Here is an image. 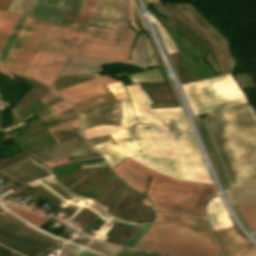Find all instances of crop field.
<instances>
[{
  "label": "crop field",
  "instance_id": "obj_1",
  "mask_svg": "<svg viewBox=\"0 0 256 256\" xmlns=\"http://www.w3.org/2000/svg\"><path fill=\"white\" fill-rule=\"evenodd\" d=\"M116 100L122 104L120 126L100 125L84 129L86 139L110 134L113 140L95 145L96 150L113 167L129 156L142 165L180 180L211 182L191 129L181 108L150 110L151 101L139 84L126 86L134 112L121 80L107 85ZM128 108V120L125 124Z\"/></svg>",
  "mask_w": 256,
  "mask_h": 256
},
{
  "label": "crop field",
  "instance_id": "obj_2",
  "mask_svg": "<svg viewBox=\"0 0 256 256\" xmlns=\"http://www.w3.org/2000/svg\"><path fill=\"white\" fill-rule=\"evenodd\" d=\"M136 32L129 27L71 28L51 24L23 75L49 86L72 54L129 60Z\"/></svg>",
  "mask_w": 256,
  "mask_h": 256
},
{
  "label": "crop field",
  "instance_id": "obj_3",
  "mask_svg": "<svg viewBox=\"0 0 256 256\" xmlns=\"http://www.w3.org/2000/svg\"><path fill=\"white\" fill-rule=\"evenodd\" d=\"M205 123L231 187L256 181V117L248 105L212 112Z\"/></svg>",
  "mask_w": 256,
  "mask_h": 256
},
{
  "label": "crop field",
  "instance_id": "obj_4",
  "mask_svg": "<svg viewBox=\"0 0 256 256\" xmlns=\"http://www.w3.org/2000/svg\"><path fill=\"white\" fill-rule=\"evenodd\" d=\"M134 247L174 256H215L219 250L205 218L164 214Z\"/></svg>",
  "mask_w": 256,
  "mask_h": 256
},
{
  "label": "crop field",
  "instance_id": "obj_5",
  "mask_svg": "<svg viewBox=\"0 0 256 256\" xmlns=\"http://www.w3.org/2000/svg\"><path fill=\"white\" fill-rule=\"evenodd\" d=\"M124 161L152 177L148 196L158 212L205 216L203 204L216 193L213 184L176 180L149 170L129 158Z\"/></svg>",
  "mask_w": 256,
  "mask_h": 256
},
{
  "label": "crop field",
  "instance_id": "obj_6",
  "mask_svg": "<svg viewBox=\"0 0 256 256\" xmlns=\"http://www.w3.org/2000/svg\"><path fill=\"white\" fill-rule=\"evenodd\" d=\"M192 113L199 114L245 103V97L229 73L181 86Z\"/></svg>",
  "mask_w": 256,
  "mask_h": 256
},
{
  "label": "crop field",
  "instance_id": "obj_7",
  "mask_svg": "<svg viewBox=\"0 0 256 256\" xmlns=\"http://www.w3.org/2000/svg\"><path fill=\"white\" fill-rule=\"evenodd\" d=\"M51 238L7 212L0 216V244L25 256H33L56 241Z\"/></svg>",
  "mask_w": 256,
  "mask_h": 256
},
{
  "label": "crop field",
  "instance_id": "obj_8",
  "mask_svg": "<svg viewBox=\"0 0 256 256\" xmlns=\"http://www.w3.org/2000/svg\"><path fill=\"white\" fill-rule=\"evenodd\" d=\"M128 63L138 67L147 68V55L142 34H139L137 42L133 48L130 61H117L109 59L89 58L72 55L60 76L80 73H92L102 71L101 64Z\"/></svg>",
  "mask_w": 256,
  "mask_h": 256
},
{
  "label": "crop field",
  "instance_id": "obj_9",
  "mask_svg": "<svg viewBox=\"0 0 256 256\" xmlns=\"http://www.w3.org/2000/svg\"><path fill=\"white\" fill-rule=\"evenodd\" d=\"M114 81L116 80L110 78L109 75L100 76L66 88L58 92V94L68 100L71 104H73L80 100L89 99L100 94L107 93L104 85L112 83Z\"/></svg>",
  "mask_w": 256,
  "mask_h": 256
},
{
  "label": "crop field",
  "instance_id": "obj_10",
  "mask_svg": "<svg viewBox=\"0 0 256 256\" xmlns=\"http://www.w3.org/2000/svg\"><path fill=\"white\" fill-rule=\"evenodd\" d=\"M215 233L223 245L220 256H256V248L253 245L250 247L234 226L216 230Z\"/></svg>",
  "mask_w": 256,
  "mask_h": 256
},
{
  "label": "crop field",
  "instance_id": "obj_11",
  "mask_svg": "<svg viewBox=\"0 0 256 256\" xmlns=\"http://www.w3.org/2000/svg\"><path fill=\"white\" fill-rule=\"evenodd\" d=\"M0 171L23 183L51 175V172L46 167L37 164L30 157Z\"/></svg>",
  "mask_w": 256,
  "mask_h": 256
},
{
  "label": "crop field",
  "instance_id": "obj_12",
  "mask_svg": "<svg viewBox=\"0 0 256 256\" xmlns=\"http://www.w3.org/2000/svg\"><path fill=\"white\" fill-rule=\"evenodd\" d=\"M119 114L120 103L119 101H115L91 111L82 112L79 116L82 120V127L84 129L100 124L118 125Z\"/></svg>",
  "mask_w": 256,
  "mask_h": 256
},
{
  "label": "crop field",
  "instance_id": "obj_13",
  "mask_svg": "<svg viewBox=\"0 0 256 256\" xmlns=\"http://www.w3.org/2000/svg\"><path fill=\"white\" fill-rule=\"evenodd\" d=\"M51 23L39 21L38 25L34 29L32 35L26 42L25 46L21 50L19 56L17 57L15 63L10 68L11 71L17 72L22 74L23 70L25 69L27 63L29 62L30 58L32 57L34 51L36 50L37 46L39 45L40 41L42 40L43 36L45 35L46 31L48 30Z\"/></svg>",
  "mask_w": 256,
  "mask_h": 256
},
{
  "label": "crop field",
  "instance_id": "obj_14",
  "mask_svg": "<svg viewBox=\"0 0 256 256\" xmlns=\"http://www.w3.org/2000/svg\"><path fill=\"white\" fill-rule=\"evenodd\" d=\"M68 2L69 0H37L31 12L23 10L22 13L57 24Z\"/></svg>",
  "mask_w": 256,
  "mask_h": 256
},
{
  "label": "crop field",
  "instance_id": "obj_15",
  "mask_svg": "<svg viewBox=\"0 0 256 256\" xmlns=\"http://www.w3.org/2000/svg\"><path fill=\"white\" fill-rule=\"evenodd\" d=\"M39 20L33 19L27 16L16 40L14 41L13 45L11 46L4 62L3 66H5L8 70L12 66L13 62L15 61L17 55L19 54L20 50L22 49L24 43L29 38L30 34L32 33L33 29L37 25Z\"/></svg>",
  "mask_w": 256,
  "mask_h": 256
},
{
  "label": "crop field",
  "instance_id": "obj_16",
  "mask_svg": "<svg viewBox=\"0 0 256 256\" xmlns=\"http://www.w3.org/2000/svg\"><path fill=\"white\" fill-rule=\"evenodd\" d=\"M113 171L124 179L129 185L145 193L149 176L138 171L124 161L118 166L114 167Z\"/></svg>",
  "mask_w": 256,
  "mask_h": 256
},
{
  "label": "crop field",
  "instance_id": "obj_17",
  "mask_svg": "<svg viewBox=\"0 0 256 256\" xmlns=\"http://www.w3.org/2000/svg\"><path fill=\"white\" fill-rule=\"evenodd\" d=\"M88 147H91V145L86 141L85 138H83L59 144L58 146L41 151L33 156H35L40 161L44 162Z\"/></svg>",
  "mask_w": 256,
  "mask_h": 256
},
{
  "label": "crop field",
  "instance_id": "obj_18",
  "mask_svg": "<svg viewBox=\"0 0 256 256\" xmlns=\"http://www.w3.org/2000/svg\"><path fill=\"white\" fill-rule=\"evenodd\" d=\"M206 210L213 230L233 225L218 196L208 201Z\"/></svg>",
  "mask_w": 256,
  "mask_h": 256
},
{
  "label": "crop field",
  "instance_id": "obj_19",
  "mask_svg": "<svg viewBox=\"0 0 256 256\" xmlns=\"http://www.w3.org/2000/svg\"><path fill=\"white\" fill-rule=\"evenodd\" d=\"M228 196L233 205L256 200V182L230 188Z\"/></svg>",
  "mask_w": 256,
  "mask_h": 256
},
{
  "label": "crop field",
  "instance_id": "obj_20",
  "mask_svg": "<svg viewBox=\"0 0 256 256\" xmlns=\"http://www.w3.org/2000/svg\"><path fill=\"white\" fill-rule=\"evenodd\" d=\"M49 133L57 144L84 137L81 133L79 123L66 128L50 131Z\"/></svg>",
  "mask_w": 256,
  "mask_h": 256
},
{
  "label": "crop field",
  "instance_id": "obj_21",
  "mask_svg": "<svg viewBox=\"0 0 256 256\" xmlns=\"http://www.w3.org/2000/svg\"><path fill=\"white\" fill-rule=\"evenodd\" d=\"M19 15L0 11V49L14 27Z\"/></svg>",
  "mask_w": 256,
  "mask_h": 256
},
{
  "label": "crop field",
  "instance_id": "obj_22",
  "mask_svg": "<svg viewBox=\"0 0 256 256\" xmlns=\"http://www.w3.org/2000/svg\"><path fill=\"white\" fill-rule=\"evenodd\" d=\"M244 222L253 231L256 228V201L236 205Z\"/></svg>",
  "mask_w": 256,
  "mask_h": 256
},
{
  "label": "crop field",
  "instance_id": "obj_23",
  "mask_svg": "<svg viewBox=\"0 0 256 256\" xmlns=\"http://www.w3.org/2000/svg\"><path fill=\"white\" fill-rule=\"evenodd\" d=\"M119 0H106L98 25L113 27L117 5Z\"/></svg>",
  "mask_w": 256,
  "mask_h": 256
},
{
  "label": "crop field",
  "instance_id": "obj_24",
  "mask_svg": "<svg viewBox=\"0 0 256 256\" xmlns=\"http://www.w3.org/2000/svg\"><path fill=\"white\" fill-rule=\"evenodd\" d=\"M96 76H99V75L87 74V75H73V76L58 77V79L55 81V83L51 87L54 88L56 91H58L63 88L69 87L71 85L91 79Z\"/></svg>",
  "mask_w": 256,
  "mask_h": 256
},
{
  "label": "crop field",
  "instance_id": "obj_25",
  "mask_svg": "<svg viewBox=\"0 0 256 256\" xmlns=\"http://www.w3.org/2000/svg\"><path fill=\"white\" fill-rule=\"evenodd\" d=\"M193 117H194V116H193ZM194 119H195V121H196V123H197V126H198V128H199V130H200V133H201V135H202V137H203V140H204V142H205V144H206V146H207V149H208V151H209V153H210V156H211V158H212V160H213V162H214V165H215V167H216V169H217V171H218V174H219V176H220V178H221V181H222V183H223V185H224V187H225V189H226L227 186H228V185H227V182H226V180H225V178H224V175H223V173H222V171H221V169H220V166H219V164H218V162H217V159H216L215 154H214V152H213V149H212V146H211L210 141H209V139H208V136H207V134H206V132H205V130H204V128H203V126H202L200 120H199L198 118H196V117H194Z\"/></svg>",
  "mask_w": 256,
  "mask_h": 256
},
{
  "label": "crop field",
  "instance_id": "obj_26",
  "mask_svg": "<svg viewBox=\"0 0 256 256\" xmlns=\"http://www.w3.org/2000/svg\"><path fill=\"white\" fill-rule=\"evenodd\" d=\"M84 247L90 248L92 250L104 253L109 256H116V254L120 251V247L108 246L103 243L94 241L90 239Z\"/></svg>",
  "mask_w": 256,
  "mask_h": 256
},
{
  "label": "crop field",
  "instance_id": "obj_27",
  "mask_svg": "<svg viewBox=\"0 0 256 256\" xmlns=\"http://www.w3.org/2000/svg\"><path fill=\"white\" fill-rule=\"evenodd\" d=\"M35 2L36 0H8L4 10L18 13L22 9L31 11Z\"/></svg>",
  "mask_w": 256,
  "mask_h": 256
},
{
  "label": "crop field",
  "instance_id": "obj_28",
  "mask_svg": "<svg viewBox=\"0 0 256 256\" xmlns=\"http://www.w3.org/2000/svg\"><path fill=\"white\" fill-rule=\"evenodd\" d=\"M26 16L24 15H20L15 27L13 28L11 34L9 35L7 41L5 42L1 52H0V63H2L7 51L9 50L13 40L15 39L20 27L22 26L24 20H25Z\"/></svg>",
  "mask_w": 256,
  "mask_h": 256
},
{
  "label": "crop field",
  "instance_id": "obj_29",
  "mask_svg": "<svg viewBox=\"0 0 256 256\" xmlns=\"http://www.w3.org/2000/svg\"><path fill=\"white\" fill-rule=\"evenodd\" d=\"M114 26H130L128 23L127 0H120Z\"/></svg>",
  "mask_w": 256,
  "mask_h": 256
},
{
  "label": "crop field",
  "instance_id": "obj_30",
  "mask_svg": "<svg viewBox=\"0 0 256 256\" xmlns=\"http://www.w3.org/2000/svg\"><path fill=\"white\" fill-rule=\"evenodd\" d=\"M153 223L141 224L133 235L126 241L124 246L133 247Z\"/></svg>",
  "mask_w": 256,
  "mask_h": 256
},
{
  "label": "crop field",
  "instance_id": "obj_31",
  "mask_svg": "<svg viewBox=\"0 0 256 256\" xmlns=\"http://www.w3.org/2000/svg\"><path fill=\"white\" fill-rule=\"evenodd\" d=\"M94 3H95V0H86L84 9L80 14L75 26H85Z\"/></svg>",
  "mask_w": 256,
  "mask_h": 256
},
{
  "label": "crop field",
  "instance_id": "obj_32",
  "mask_svg": "<svg viewBox=\"0 0 256 256\" xmlns=\"http://www.w3.org/2000/svg\"><path fill=\"white\" fill-rule=\"evenodd\" d=\"M104 1L105 0H96V3H95V5H94V7L92 9V12H91V15H90V18H89L87 24H89V25H96V23H97V21L99 19V16L101 14Z\"/></svg>",
  "mask_w": 256,
  "mask_h": 256
},
{
  "label": "crop field",
  "instance_id": "obj_33",
  "mask_svg": "<svg viewBox=\"0 0 256 256\" xmlns=\"http://www.w3.org/2000/svg\"><path fill=\"white\" fill-rule=\"evenodd\" d=\"M152 18H153V17H152ZM153 20H154V22L156 23V25H157V27H158V29H159V31H160V34H161V36H162V38H163V41H164V43H165V45H166V48H167L168 52H169V53H171V52H176L177 49L175 48V46H174L173 43L171 42L170 38H169V37L167 36V34L165 33V31H164L163 27L161 26V24L158 23L154 18H153Z\"/></svg>",
  "mask_w": 256,
  "mask_h": 256
},
{
  "label": "crop field",
  "instance_id": "obj_34",
  "mask_svg": "<svg viewBox=\"0 0 256 256\" xmlns=\"http://www.w3.org/2000/svg\"><path fill=\"white\" fill-rule=\"evenodd\" d=\"M117 256H158V255H153V254H148V253H143L138 251H131V250L122 248L121 251L117 254Z\"/></svg>",
  "mask_w": 256,
  "mask_h": 256
},
{
  "label": "crop field",
  "instance_id": "obj_35",
  "mask_svg": "<svg viewBox=\"0 0 256 256\" xmlns=\"http://www.w3.org/2000/svg\"><path fill=\"white\" fill-rule=\"evenodd\" d=\"M144 37H145V41H146V47H147V53H148V58H149V64L150 66H153V65H158L157 64V61H156V57H155V54L144 34Z\"/></svg>",
  "mask_w": 256,
  "mask_h": 256
},
{
  "label": "crop field",
  "instance_id": "obj_36",
  "mask_svg": "<svg viewBox=\"0 0 256 256\" xmlns=\"http://www.w3.org/2000/svg\"><path fill=\"white\" fill-rule=\"evenodd\" d=\"M111 138L109 137V135H106V136H102V137H98V138H93V139H89V141L95 145V144H98V143H101V142H104V141H107V140H110Z\"/></svg>",
  "mask_w": 256,
  "mask_h": 256
},
{
  "label": "crop field",
  "instance_id": "obj_37",
  "mask_svg": "<svg viewBox=\"0 0 256 256\" xmlns=\"http://www.w3.org/2000/svg\"><path fill=\"white\" fill-rule=\"evenodd\" d=\"M51 111H53L50 107L49 108H47V109H45L44 111H42L41 113H39V114H37L39 117H41V116H43V115H45V114H47V113H49V112H51ZM58 116H57V114H55V115H53V116H51V117H49V118H47V119H45V120H43V121H45V122H48V121H51V120H53V119H55V118H57Z\"/></svg>",
  "mask_w": 256,
  "mask_h": 256
},
{
  "label": "crop field",
  "instance_id": "obj_38",
  "mask_svg": "<svg viewBox=\"0 0 256 256\" xmlns=\"http://www.w3.org/2000/svg\"><path fill=\"white\" fill-rule=\"evenodd\" d=\"M15 252L7 249V248H4L2 246H0V256H11L13 255Z\"/></svg>",
  "mask_w": 256,
  "mask_h": 256
},
{
  "label": "crop field",
  "instance_id": "obj_39",
  "mask_svg": "<svg viewBox=\"0 0 256 256\" xmlns=\"http://www.w3.org/2000/svg\"><path fill=\"white\" fill-rule=\"evenodd\" d=\"M74 256H97L91 253H88L86 251L80 250V249H76Z\"/></svg>",
  "mask_w": 256,
  "mask_h": 256
},
{
  "label": "crop field",
  "instance_id": "obj_40",
  "mask_svg": "<svg viewBox=\"0 0 256 256\" xmlns=\"http://www.w3.org/2000/svg\"><path fill=\"white\" fill-rule=\"evenodd\" d=\"M13 256H21V255H19V254L16 253V254H14Z\"/></svg>",
  "mask_w": 256,
  "mask_h": 256
},
{
  "label": "crop field",
  "instance_id": "obj_41",
  "mask_svg": "<svg viewBox=\"0 0 256 256\" xmlns=\"http://www.w3.org/2000/svg\"><path fill=\"white\" fill-rule=\"evenodd\" d=\"M153 1H159V0H153Z\"/></svg>",
  "mask_w": 256,
  "mask_h": 256
}]
</instances>
